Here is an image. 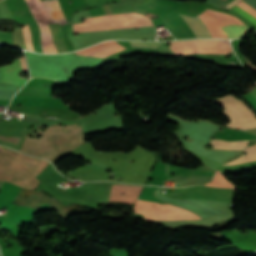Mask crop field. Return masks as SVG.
<instances>
[{"mask_svg":"<svg viewBox=\"0 0 256 256\" xmlns=\"http://www.w3.org/2000/svg\"><path fill=\"white\" fill-rule=\"evenodd\" d=\"M149 4L153 8H155L183 38H196L195 35L197 36V38H213V36L210 34V32L198 18V16L190 17L181 15L193 30L195 34L194 35L190 27L184 21V19L178 14L179 12L177 13V11L171 7L172 5H174V3L162 0H154ZM149 4H147L145 7H141V9L148 11L159 17L155 20H152L155 27L162 25L164 29H167L169 31L171 30L173 36L176 39H182V37L171 27V25ZM221 29L228 36L224 38L242 37L249 30V28L245 26L233 25H229Z\"/></svg>","mask_w":256,"mask_h":256,"instance_id":"8a807250","label":"crop field"},{"mask_svg":"<svg viewBox=\"0 0 256 256\" xmlns=\"http://www.w3.org/2000/svg\"><path fill=\"white\" fill-rule=\"evenodd\" d=\"M221 99H223L226 103H228L231 107H233L237 113L241 116V118L246 122L255 121L254 117L250 110L246 107L245 104H243L241 101L236 99L233 96H224ZM225 132H216L213 137L216 139H224V140H253L256 139L255 135L243 132V131H237V130H230L227 128H223ZM230 134L231 136L228 137L227 135ZM249 141H239V142H225L220 140H211L210 145L213 147H247V143ZM213 149H244V148H213Z\"/></svg>","mask_w":256,"mask_h":256,"instance_id":"ac0d7876","label":"crop field"},{"mask_svg":"<svg viewBox=\"0 0 256 256\" xmlns=\"http://www.w3.org/2000/svg\"><path fill=\"white\" fill-rule=\"evenodd\" d=\"M145 19H148V18L143 15H139L135 13L111 14V15H102V16L87 18L86 20H84L85 23L74 24L73 27L125 22V21H135V20H145ZM146 26H154V25L152 21L145 20V21L125 22V23L106 24V25H97V26L77 27V28H73V32L83 33V32L111 30V29L129 28V27H146Z\"/></svg>","mask_w":256,"mask_h":256,"instance_id":"34b2d1b8","label":"crop field"},{"mask_svg":"<svg viewBox=\"0 0 256 256\" xmlns=\"http://www.w3.org/2000/svg\"><path fill=\"white\" fill-rule=\"evenodd\" d=\"M168 47L177 55L193 53L229 54L232 51L229 41L218 40L170 42Z\"/></svg>","mask_w":256,"mask_h":256,"instance_id":"412701ff","label":"crop field"},{"mask_svg":"<svg viewBox=\"0 0 256 256\" xmlns=\"http://www.w3.org/2000/svg\"><path fill=\"white\" fill-rule=\"evenodd\" d=\"M157 189L156 187H148L145 186L142 192L140 193L138 198L141 199H147V200H153V201H159L154 195L153 191ZM137 199L135 203L134 209H141V210H168V209H180L178 207L172 206L170 204L162 203V205L159 202H153V201H147V200H141ZM155 205V206H153ZM146 219H157V220H173V219H191V218H200L195 214H181V215H155V216H143Z\"/></svg>","mask_w":256,"mask_h":256,"instance_id":"f4fd0767","label":"crop field"},{"mask_svg":"<svg viewBox=\"0 0 256 256\" xmlns=\"http://www.w3.org/2000/svg\"><path fill=\"white\" fill-rule=\"evenodd\" d=\"M20 60H21L23 71L27 70L24 57L20 58ZM20 60L18 58L12 64L3 66L2 67V77L20 78L17 74L18 72L22 71L21 65H20ZM8 78H2L1 82L10 83V84H19V85L23 86L27 81V80H22V79H8Z\"/></svg>","mask_w":256,"mask_h":256,"instance_id":"dd49c442","label":"crop field"},{"mask_svg":"<svg viewBox=\"0 0 256 256\" xmlns=\"http://www.w3.org/2000/svg\"><path fill=\"white\" fill-rule=\"evenodd\" d=\"M116 45H118V43L116 42V41H109V42H104V43H100V44H98V45H96V46H93V47H91V48H89V49H85V50H81V51H77L76 52V54H82V55H90V56H92V55H95V54H97V53H99V52H102V51H104V50H106V49H109V48H111V47H114V46H116ZM118 46H120V45H118ZM118 46H116V47H118ZM115 48V47H114ZM111 49H113V48H111ZM124 49H126V48H124V47H122V46H120V47H118V48H115V49H113V50H110V51H108V52H106V51H104V52H106V53H103V54H101V53H99V54H101V55H98V57H108V56H110V55H112V54H114V53H116V52H118V51H121V50H124ZM96 56V55H95Z\"/></svg>","mask_w":256,"mask_h":256,"instance_id":"e52e79f7","label":"crop field"},{"mask_svg":"<svg viewBox=\"0 0 256 256\" xmlns=\"http://www.w3.org/2000/svg\"><path fill=\"white\" fill-rule=\"evenodd\" d=\"M42 3L52 23H60L67 20L59 0H46L42 1Z\"/></svg>","mask_w":256,"mask_h":256,"instance_id":"d8731c3e","label":"crop field"},{"mask_svg":"<svg viewBox=\"0 0 256 256\" xmlns=\"http://www.w3.org/2000/svg\"><path fill=\"white\" fill-rule=\"evenodd\" d=\"M44 53H57L47 25L39 26Z\"/></svg>","mask_w":256,"mask_h":256,"instance_id":"5a996713","label":"crop field"},{"mask_svg":"<svg viewBox=\"0 0 256 256\" xmlns=\"http://www.w3.org/2000/svg\"><path fill=\"white\" fill-rule=\"evenodd\" d=\"M237 5L256 18V10L254 8L250 7L249 5L244 3L243 1H241ZM238 6L235 5L231 9L237 11L238 13L242 14L246 19H248L252 23L256 24V19L253 16H251L250 14H248L247 12H245L244 10H242L241 8H239Z\"/></svg>","mask_w":256,"mask_h":256,"instance_id":"3316defc","label":"crop field"},{"mask_svg":"<svg viewBox=\"0 0 256 256\" xmlns=\"http://www.w3.org/2000/svg\"><path fill=\"white\" fill-rule=\"evenodd\" d=\"M256 150V145L253 146V147H250V148H247V153L249 152H252ZM256 160V151L255 152H252V153H249V154H246L244 156H241L240 158H238L237 160L233 161V162H230V163H227L223 166H226V165H233V164H239V163H244V162H248V161H255Z\"/></svg>","mask_w":256,"mask_h":256,"instance_id":"28ad6ade","label":"crop field"},{"mask_svg":"<svg viewBox=\"0 0 256 256\" xmlns=\"http://www.w3.org/2000/svg\"><path fill=\"white\" fill-rule=\"evenodd\" d=\"M207 186H216V187H227L235 188L233 183L229 182L226 178L214 176L213 180L206 183Z\"/></svg>","mask_w":256,"mask_h":256,"instance_id":"d1516ede","label":"crop field"},{"mask_svg":"<svg viewBox=\"0 0 256 256\" xmlns=\"http://www.w3.org/2000/svg\"><path fill=\"white\" fill-rule=\"evenodd\" d=\"M132 47H146V48H157L163 42H132L130 41Z\"/></svg>","mask_w":256,"mask_h":256,"instance_id":"22f410ed","label":"crop field"},{"mask_svg":"<svg viewBox=\"0 0 256 256\" xmlns=\"http://www.w3.org/2000/svg\"><path fill=\"white\" fill-rule=\"evenodd\" d=\"M28 29H29V27H28ZM28 29H27V26H25V27L22 28V32H23V36H24V39H25V43H26L27 48H28L29 50H32L33 43H32V47H31V42H32V40H31V42H30L31 36H30V38H29V33H30V31H29V33H28ZM33 50H34V48H33ZM33 50H32V51H33ZM34 51H35V50H34Z\"/></svg>","mask_w":256,"mask_h":256,"instance_id":"cbeb9de0","label":"crop field"},{"mask_svg":"<svg viewBox=\"0 0 256 256\" xmlns=\"http://www.w3.org/2000/svg\"><path fill=\"white\" fill-rule=\"evenodd\" d=\"M16 91L0 90V99H11Z\"/></svg>","mask_w":256,"mask_h":256,"instance_id":"5142ce71","label":"crop field"},{"mask_svg":"<svg viewBox=\"0 0 256 256\" xmlns=\"http://www.w3.org/2000/svg\"><path fill=\"white\" fill-rule=\"evenodd\" d=\"M0 40L4 42L12 43V33L0 32Z\"/></svg>","mask_w":256,"mask_h":256,"instance_id":"d9b57169","label":"crop field"},{"mask_svg":"<svg viewBox=\"0 0 256 256\" xmlns=\"http://www.w3.org/2000/svg\"><path fill=\"white\" fill-rule=\"evenodd\" d=\"M240 0H234L233 2H231L230 4H228L226 7L227 10L230 9L232 6H234L237 2H239Z\"/></svg>","mask_w":256,"mask_h":256,"instance_id":"733c2abd","label":"crop field"}]
</instances>
